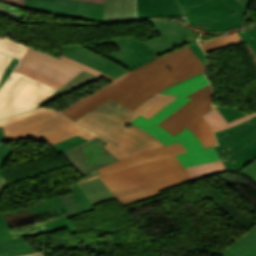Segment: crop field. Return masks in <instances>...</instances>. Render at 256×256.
<instances>
[{"label": "crop field", "instance_id": "1", "mask_svg": "<svg viewBox=\"0 0 256 256\" xmlns=\"http://www.w3.org/2000/svg\"><path fill=\"white\" fill-rule=\"evenodd\" d=\"M204 68L187 46L123 74L94 94L59 112L74 121L109 98L135 110L149 97L181 80L202 73Z\"/></svg>", "mask_w": 256, "mask_h": 256}, {"label": "crop field", "instance_id": "2", "mask_svg": "<svg viewBox=\"0 0 256 256\" xmlns=\"http://www.w3.org/2000/svg\"><path fill=\"white\" fill-rule=\"evenodd\" d=\"M178 97L157 94L145 101L135 111L109 99L74 122L107 141L108 143L106 142L107 144L103 147L122 160L128 156L164 146L139 128L135 126L127 128L125 125L140 115L150 119ZM95 137L96 135L93 134L91 140Z\"/></svg>", "mask_w": 256, "mask_h": 256}, {"label": "crop field", "instance_id": "3", "mask_svg": "<svg viewBox=\"0 0 256 256\" xmlns=\"http://www.w3.org/2000/svg\"><path fill=\"white\" fill-rule=\"evenodd\" d=\"M61 49L64 56L114 78L159 57L134 36L71 45Z\"/></svg>", "mask_w": 256, "mask_h": 256}, {"label": "crop field", "instance_id": "4", "mask_svg": "<svg viewBox=\"0 0 256 256\" xmlns=\"http://www.w3.org/2000/svg\"><path fill=\"white\" fill-rule=\"evenodd\" d=\"M75 185V184H74ZM72 194L64 195L49 200L41 201L50 217L67 212L68 216L37 225L35 232L11 233L10 227L0 213V256H15L27 253H35L20 236H29L50 233L67 228L71 233L76 229L68 218L89 211L92 206L76 184L71 187Z\"/></svg>", "mask_w": 256, "mask_h": 256}, {"label": "crop field", "instance_id": "5", "mask_svg": "<svg viewBox=\"0 0 256 256\" xmlns=\"http://www.w3.org/2000/svg\"><path fill=\"white\" fill-rule=\"evenodd\" d=\"M0 126L6 140L34 139L50 145L76 135L89 140L92 135L61 114L46 108L0 120Z\"/></svg>", "mask_w": 256, "mask_h": 256}, {"label": "crop field", "instance_id": "6", "mask_svg": "<svg viewBox=\"0 0 256 256\" xmlns=\"http://www.w3.org/2000/svg\"><path fill=\"white\" fill-rule=\"evenodd\" d=\"M83 69L105 79L111 81L114 80V78L108 75L68 59L62 55L60 59H58L30 47L24 54L17 67V70L57 90L65 85L67 81L75 77Z\"/></svg>", "mask_w": 256, "mask_h": 256}, {"label": "crop field", "instance_id": "7", "mask_svg": "<svg viewBox=\"0 0 256 256\" xmlns=\"http://www.w3.org/2000/svg\"><path fill=\"white\" fill-rule=\"evenodd\" d=\"M214 134L215 149L229 171L238 172L256 159V116Z\"/></svg>", "mask_w": 256, "mask_h": 256}, {"label": "crop field", "instance_id": "8", "mask_svg": "<svg viewBox=\"0 0 256 256\" xmlns=\"http://www.w3.org/2000/svg\"><path fill=\"white\" fill-rule=\"evenodd\" d=\"M55 91L15 70L0 91V118L35 109Z\"/></svg>", "mask_w": 256, "mask_h": 256}, {"label": "crop field", "instance_id": "9", "mask_svg": "<svg viewBox=\"0 0 256 256\" xmlns=\"http://www.w3.org/2000/svg\"><path fill=\"white\" fill-rule=\"evenodd\" d=\"M245 11V7L237 0H213L184 12V15L196 29L221 32L243 27L242 17Z\"/></svg>", "mask_w": 256, "mask_h": 256}, {"label": "crop field", "instance_id": "10", "mask_svg": "<svg viewBox=\"0 0 256 256\" xmlns=\"http://www.w3.org/2000/svg\"><path fill=\"white\" fill-rule=\"evenodd\" d=\"M192 181L186 170L165 174L113 191L122 206L160 195L159 192Z\"/></svg>", "mask_w": 256, "mask_h": 256}, {"label": "crop field", "instance_id": "11", "mask_svg": "<svg viewBox=\"0 0 256 256\" xmlns=\"http://www.w3.org/2000/svg\"><path fill=\"white\" fill-rule=\"evenodd\" d=\"M184 169L175 156L133 166L122 171L101 177L108 188L113 191L132 183L140 182L165 173Z\"/></svg>", "mask_w": 256, "mask_h": 256}, {"label": "crop field", "instance_id": "12", "mask_svg": "<svg viewBox=\"0 0 256 256\" xmlns=\"http://www.w3.org/2000/svg\"><path fill=\"white\" fill-rule=\"evenodd\" d=\"M105 141L95 138L92 141L64 152L68 161L83 175L97 170L103 166L118 161L102 146Z\"/></svg>", "mask_w": 256, "mask_h": 256}, {"label": "crop field", "instance_id": "13", "mask_svg": "<svg viewBox=\"0 0 256 256\" xmlns=\"http://www.w3.org/2000/svg\"><path fill=\"white\" fill-rule=\"evenodd\" d=\"M188 97L193 99L159 124L173 136L201 115L211 110L210 85Z\"/></svg>", "mask_w": 256, "mask_h": 256}, {"label": "crop field", "instance_id": "14", "mask_svg": "<svg viewBox=\"0 0 256 256\" xmlns=\"http://www.w3.org/2000/svg\"><path fill=\"white\" fill-rule=\"evenodd\" d=\"M149 23L158 33L160 39L143 41V43L158 55L175 49L173 46L178 43L184 45L195 41L191 31L181 25L168 21H149Z\"/></svg>", "mask_w": 256, "mask_h": 256}, {"label": "crop field", "instance_id": "15", "mask_svg": "<svg viewBox=\"0 0 256 256\" xmlns=\"http://www.w3.org/2000/svg\"><path fill=\"white\" fill-rule=\"evenodd\" d=\"M175 137L188 151L177 155L184 167L219 159L213 146L204 149L199 140L187 127Z\"/></svg>", "mask_w": 256, "mask_h": 256}, {"label": "crop field", "instance_id": "16", "mask_svg": "<svg viewBox=\"0 0 256 256\" xmlns=\"http://www.w3.org/2000/svg\"><path fill=\"white\" fill-rule=\"evenodd\" d=\"M209 85L208 80L204 76V74H199L197 76H194L190 79L184 80L172 87H169L162 91L163 94H175V95H181L174 103L166 107L164 110L159 112L157 115H155L150 120L154 121L155 123H160L162 120H164L166 117L171 115L173 112L178 110L180 107H182L184 104H186L189 100V98H186L190 93Z\"/></svg>", "mask_w": 256, "mask_h": 256}, {"label": "crop field", "instance_id": "17", "mask_svg": "<svg viewBox=\"0 0 256 256\" xmlns=\"http://www.w3.org/2000/svg\"><path fill=\"white\" fill-rule=\"evenodd\" d=\"M185 151L186 150L183 148V146L180 143L169 145V146L151 150V151H147L145 153L131 156L123 161H118L116 163H113L111 165L103 167V168L97 170L100 173L99 175L85 179V180L79 182L78 184L90 181L92 179H95V178H98V177H101V176H104V175H107V174H110V173H113V172H116L119 170H122L124 168L130 167L133 165H137V164L148 162L151 160L172 156L177 153H181V152H185Z\"/></svg>", "mask_w": 256, "mask_h": 256}, {"label": "crop field", "instance_id": "18", "mask_svg": "<svg viewBox=\"0 0 256 256\" xmlns=\"http://www.w3.org/2000/svg\"><path fill=\"white\" fill-rule=\"evenodd\" d=\"M136 3L137 19L183 16L176 0H136Z\"/></svg>", "mask_w": 256, "mask_h": 256}, {"label": "crop field", "instance_id": "19", "mask_svg": "<svg viewBox=\"0 0 256 256\" xmlns=\"http://www.w3.org/2000/svg\"><path fill=\"white\" fill-rule=\"evenodd\" d=\"M135 18V0H105L103 21Z\"/></svg>", "mask_w": 256, "mask_h": 256}, {"label": "crop field", "instance_id": "20", "mask_svg": "<svg viewBox=\"0 0 256 256\" xmlns=\"http://www.w3.org/2000/svg\"><path fill=\"white\" fill-rule=\"evenodd\" d=\"M226 249L240 256H256V225Z\"/></svg>", "mask_w": 256, "mask_h": 256}, {"label": "crop field", "instance_id": "21", "mask_svg": "<svg viewBox=\"0 0 256 256\" xmlns=\"http://www.w3.org/2000/svg\"><path fill=\"white\" fill-rule=\"evenodd\" d=\"M100 79L99 77L83 70L81 73H79L74 79L69 81L64 87H62L60 90L52 94L49 98L45 99L42 104H40L37 108H40V106L50 102L51 100L58 98L62 95H65L81 86H84L86 84H89L93 81H96ZM36 108V109H37Z\"/></svg>", "mask_w": 256, "mask_h": 256}, {"label": "crop field", "instance_id": "22", "mask_svg": "<svg viewBox=\"0 0 256 256\" xmlns=\"http://www.w3.org/2000/svg\"><path fill=\"white\" fill-rule=\"evenodd\" d=\"M132 124L149 132L165 146L178 142L176 138L166 132L163 128L142 116L137 118Z\"/></svg>", "mask_w": 256, "mask_h": 256}, {"label": "crop field", "instance_id": "23", "mask_svg": "<svg viewBox=\"0 0 256 256\" xmlns=\"http://www.w3.org/2000/svg\"><path fill=\"white\" fill-rule=\"evenodd\" d=\"M187 127L197 136L204 148L217 144L214 134L203 116Z\"/></svg>", "mask_w": 256, "mask_h": 256}, {"label": "crop field", "instance_id": "24", "mask_svg": "<svg viewBox=\"0 0 256 256\" xmlns=\"http://www.w3.org/2000/svg\"><path fill=\"white\" fill-rule=\"evenodd\" d=\"M186 170L191 175L193 180L200 179L202 177L214 175L226 171V167L222 160L200 164L196 166L187 167Z\"/></svg>", "mask_w": 256, "mask_h": 256}, {"label": "crop field", "instance_id": "25", "mask_svg": "<svg viewBox=\"0 0 256 256\" xmlns=\"http://www.w3.org/2000/svg\"><path fill=\"white\" fill-rule=\"evenodd\" d=\"M24 8H29L41 12H49L59 15L68 16L70 15L71 8L70 6L55 4L51 2L34 0L33 3L26 2Z\"/></svg>", "mask_w": 256, "mask_h": 256}, {"label": "crop field", "instance_id": "26", "mask_svg": "<svg viewBox=\"0 0 256 256\" xmlns=\"http://www.w3.org/2000/svg\"><path fill=\"white\" fill-rule=\"evenodd\" d=\"M256 114H252V115H246L242 118L236 119L230 123H227V121L224 119V117L219 113V111L217 110L216 107H213V110L209 113H207L205 115L206 120L208 121V123L211 125V127L213 128V131H219L222 129H226L229 128L237 123H240L244 120H247L253 116H255Z\"/></svg>", "mask_w": 256, "mask_h": 256}, {"label": "crop field", "instance_id": "27", "mask_svg": "<svg viewBox=\"0 0 256 256\" xmlns=\"http://www.w3.org/2000/svg\"><path fill=\"white\" fill-rule=\"evenodd\" d=\"M239 43H243V41L240 38V36H238V34L235 33V34L225 35L218 39L206 41L204 43H201L200 45L205 50V52L208 53L209 51H212L215 49H219V48H223V47H227V46H231Z\"/></svg>", "mask_w": 256, "mask_h": 256}, {"label": "crop field", "instance_id": "28", "mask_svg": "<svg viewBox=\"0 0 256 256\" xmlns=\"http://www.w3.org/2000/svg\"><path fill=\"white\" fill-rule=\"evenodd\" d=\"M104 6L81 3L76 18L89 19L100 22L103 17Z\"/></svg>", "mask_w": 256, "mask_h": 256}, {"label": "crop field", "instance_id": "29", "mask_svg": "<svg viewBox=\"0 0 256 256\" xmlns=\"http://www.w3.org/2000/svg\"><path fill=\"white\" fill-rule=\"evenodd\" d=\"M27 48V46L18 44L15 41H10L8 36L4 39L0 38V51L11 54L19 59H21Z\"/></svg>", "mask_w": 256, "mask_h": 256}, {"label": "crop field", "instance_id": "30", "mask_svg": "<svg viewBox=\"0 0 256 256\" xmlns=\"http://www.w3.org/2000/svg\"><path fill=\"white\" fill-rule=\"evenodd\" d=\"M80 187L87 195V197L96 195L105 191H109L107 186L102 182L100 178L92 180L90 182L80 184Z\"/></svg>", "mask_w": 256, "mask_h": 256}, {"label": "crop field", "instance_id": "31", "mask_svg": "<svg viewBox=\"0 0 256 256\" xmlns=\"http://www.w3.org/2000/svg\"><path fill=\"white\" fill-rule=\"evenodd\" d=\"M244 32L245 33L239 32L238 34L241 36L243 41L247 43L248 47L250 48L256 59V27L246 29L244 30ZM251 37H254V39H251Z\"/></svg>", "mask_w": 256, "mask_h": 256}, {"label": "crop field", "instance_id": "32", "mask_svg": "<svg viewBox=\"0 0 256 256\" xmlns=\"http://www.w3.org/2000/svg\"><path fill=\"white\" fill-rule=\"evenodd\" d=\"M217 108L220 111V113L226 118V120L228 122H230L236 118H239L243 115H246V114L239 112L238 110H236L234 108H221V107H217Z\"/></svg>", "mask_w": 256, "mask_h": 256}, {"label": "crop field", "instance_id": "33", "mask_svg": "<svg viewBox=\"0 0 256 256\" xmlns=\"http://www.w3.org/2000/svg\"><path fill=\"white\" fill-rule=\"evenodd\" d=\"M25 1L32 2V0H25ZM46 1H51V2H55V3L73 6L72 12L70 15V17H72V18H75V15H76V12H77L80 2H84V1H77V0H46ZM86 3H90V2H86ZM94 4H99V3H94ZM101 5H104V4H101Z\"/></svg>", "mask_w": 256, "mask_h": 256}, {"label": "crop field", "instance_id": "34", "mask_svg": "<svg viewBox=\"0 0 256 256\" xmlns=\"http://www.w3.org/2000/svg\"><path fill=\"white\" fill-rule=\"evenodd\" d=\"M10 7H12V6H9L3 2H0V12L5 13V14L10 15L15 18L23 19V13L20 12V10L16 9L15 7H13V9H11Z\"/></svg>", "mask_w": 256, "mask_h": 256}, {"label": "crop field", "instance_id": "35", "mask_svg": "<svg viewBox=\"0 0 256 256\" xmlns=\"http://www.w3.org/2000/svg\"><path fill=\"white\" fill-rule=\"evenodd\" d=\"M178 1L181 5L182 11L184 12L186 10H189L191 8H194L196 6L204 4L211 0H178Z\"/></svg>", "mask_w": 256, "mask_h": 256}, {"label": "crop field", "instance_id": "36", "mask_svg": "<svg viewBox=\"0 0 256 256\" xmlns=\"http://www.w3.org/2000/svg\"><path fill=\"white\" fill-rule=\"evenodd\" d=\"M12 150L9 146L4 143H0V174H3V170H1L4 161L8 158Z\"/></svg>", "mask_w": 256, "mask_h": 256}, {"label": "crop field", "instance_id": "37", "mask_svg": "<svg viewBox=\"0 0 256 256\" xmlns=\"http://www.w3.org/2000/svg\"><path fill=\"white\" fill-rule=\"evenodd\" d=\"M238 173L248 176L256 183V160Z\"/></svg>", "mask_w": 256, "mask_h": 256}, {"label": "crop field", "instance_id": "38", "mask_svg": "<svg viewBox=\"0 0 256 256\" xmlns=\"http://www.w3.org/2000/svg\"><path fill=\"white\" fill-rule=\"evenodd\" d=\"M113 194L112 192H106V193H102V194H99V195H96V196H92V197H89V201L92 203V204H96V203H99V202H102V201H105L107 199H110V198H113Z\"/></svg>", "mask_w": 256, "mask_h": 256}, {"label": "crop field", "instance_id": "39", "mask_svg": "<svg viewBox=\"0 0 256 256\" xmlns=\"http://www.w3.org/2000/svg\"><path fill=\"white\" fill-rule=\"evenodd\" d=\"M18 59L14 58L12 59V61L10 62V64L8 65V67L6 68L3 78L0 82V87L5 83L6 79L9 77V75L11 74L12 70L14 69V67L17 65L18 63Z\"/></svg>", "mask_w": 256, "mask_h": 256}, {"label": "crop field", "instance_id": "40", "mask_svg": "<svg viewBox=\"0 0 256 256\" xmlns=\"http://www.w3.org/2000/svg\"><path fill=\"white\" fill-rule=\"evenodd\" d=\"M192 51L198 56V58L203 62V64L205 65V53L203 52V50L200 48V46L198 45L197 42L194 43H190V45H188Z\"/></svg>", "mask_w": 256, "mask_h": 256}, {"label": "crop field", "instance_id": "41", "mask_svg": "<svg viewBox=\"0 0 256 256\" xmlns=\"http://www.w3.org/2000/svg\"><path fill=\"white\" fill-rule=\"evenodd\" d=\"M11 59V56L0 53V80L2 78L3 71L5 70Z\"/></svg>", "mask_w": 256, "mask_h": 256}, {"label": "crop field", "instance_id": "42", "mask_svg": "<svg viewBox=\"0 0 256 256\" xmlns=\"http://www.w3.org/2000/svg\"><path fill=\"white\" fill-rule=\"evenodd\" d=\"M0 1H3L9 5H15V6L22 7V8L25 3L24 0H0ZM84 1L104 3V0H84Z\"/></svg>", "mask_w": 256, "mask_h": 256}, {"label": "crop field", "instance_id": "43", "mask_svg": "<svg viewBox=\"0 0 256 256\" xmlns=\"http://www.w3.org/2000/svg\"><path fill=\"white\" fill-rule=\"evenodd\" d=\"M6 185V179L0 178V193L5 189Z\"/></svg>", "mask_w": 256, "mask_h": 256}, {"label": "crop field", "instance_id": "44", "mask_svg": "<svg viewBox=\"0 0 256 256\" xmlns=\"http://www.w3.org/2000/svg\"><path fill=\"white\" fill-rule=\"evenodd\" d=\"M248 9L252 3V0H240Z\"/></svg>", "mask_w": 256, "mask_h": 256}, {"label": "crop field", "instance_id": "45", "mask_svg": "<svg viewBox=\"0 0 256 256\" xmlns=\"http://www.w3.org/2000/svg\"><path fill=\"white\" fill-rule=\"evenodd\" d=\"M225 256H238V255H236V254H234V253L225 249Z\"/></svg>", "mask_w": 256, "mask_h": 256}, {"label": "crop field", "instance_id": "46", "mask_svg": "<svg viewBox=\"0 0 256 256\" xmlns=\"http://www.w3.org/2000/svg\"><path fill=\"white\" fill-rule=\"evenodd\" d=\"M4 135H3V132H2V128L0 127V141H4Z\"/></svg>", "mask_w": 256, "mask_h": 256}, {"label": "crop field", "instance_id": "47", "mask_svg": "<svg viewBox=\"0 0 256 256\" xmlns=\"http://www.w3.org/2000/svg\"><path fill=\"white\" fill-rule=\"evenodd\" d=\"M97 174H99V173H97V172L95 171V172H93V173H91V174H89V175L83 177V179L88 178V177H91V176H94V175H97ZM83 179H82V180H83Z\"/></svg>", "mask_w": 256, "mask_h": 256}, {"label": "crop field", "instance_id": "48", "mask_svg": "<svg viewBox=\"0 0 256 256\" xmlns=\"http://www.w3.org/2000/svg\"><path fill=\"white\" fill-rule=\"evenodd\" d=\"M29 256H44L42 253L39 254H30Z\"/></svg>", "mask_w": 256, "mask_h": 256}, {"label": "crop field", "instance_id": "49", "mask_svg": "<svg viewBox=\"0 0 256 256\" xmlns=\"http://www.w3.org/2000/svg\"><path fill=\"white\" fill-rule=\"evenodd\" d=\"M28 256V255H27Z\"/></svg>", "mask_w": 256, "mask_h": 256}]
</instances>
